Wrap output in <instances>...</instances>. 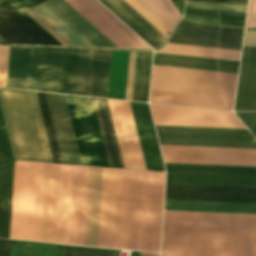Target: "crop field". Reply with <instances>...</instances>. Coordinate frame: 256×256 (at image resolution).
<instances>
[{
    "mask_svg": "<svg viewBox=\"0 0 256 256\" xmlns=\"http://www.w3.org/2000/svg\"><path fill=\"white\" fill-rule=\"evenodd\" d=\"M94 47L117 48L64 0L45 2Z\"/></svg>",
    "mask_w": 256,
    "mask_h": 256,
    "instance_id": "obj_26",
    "label": "crop field"
},
{
    "mask_svg": "<svg viewBox=\"0 0 256 256\" xmlns=\"http://www.w3.org/2000/svg\"><path fill=\"white\" fill-rule=\"evenodd\" d=\"M135 52H130L126 100H131Z\"/></svg>",
    "mask_w": 256,
    "mask_h": 256,
    "instance_id": "obj_42",
    "label": "crop field"
},
{
    "mask_svg": "<svg viewBox=\"0 0 256 256\" xmlns=\"http://www.w3.org/2000/svg\"><path fill=\"white\" fill-rule=\"evenodd\" d=\"M243 45L256 46V32L245 31ZM256 110V48L243 47L234 111Z\"/></svg>",
    "mask_w": 256,
    "mask_h": 256,
    "instance_id": "obj_19",
    "label": "crop field"
},
{
    "mask_svg": "<svg viewBox=\"0 0 256 256\" xmlns=\"http://www.w3.org/2000/svg\"><path fill=\"white\" fill-rule=\"evenodd\" d=\"M242 33L243 30L206 27L181 19L169 43L240 50Z\"/></svg>",
    "mask_w": 256,
    "mask_h": 256,
    "instance_id": "obj_15",
    "label": "crop field"
},
{
    "mask_svg": "<svg viewBox=\"0 0 256 256\" xmlns=\"http://www.w3.org/2000/svg\"><path fill=\"white\" fill-rule=\"evenodd\" d=\"M14 162L0 168V238H8Z\"/></svg>",
    "mask_w": 256,
    "mask_h": 256,
    "instance_id": "obj_32",
    "label": "crop field"
},
{
    "mask_svg": "<svg viewBox=\"0 0 256 256\" xmlns=\"http://www.w3.org/2000/svg\"><path fill=\"white\" fill-rule=\"evenodd\" d=\"M165 199L256 203V189L166 185Z\"/></svg>",
    "mask_w": 256,
    "mask_h": 256,
    "instance_id": "obj_17",
    "label": "crop field"
},
{
    "mask_svg": "<svg viewBox=\"0 0 256 256\" xmlns=\"http://www.w3.org/2000/svg\"><path fill=\"white\" fill-rule=\"evenodd\" d=\"M234 96L151 88L150 102L232 111Z\"/></svg>",
    "mask_w": 256,
    "mask_h": 256,
    "instance_id": "obj_22",
    "label": "crop field"
},
{
    "mask_svg": "<svg viewBox=\"0 0 256 256\" xmlns=\"http://www.w3.org/2000/svg\"><path fill=\"white\" fill-rule=\"evenodd\" d=\"M183 2L184 0H178V12L180 15L182 14Z\"/></svg>",
    "mask_w": 256,
    "mask_h": 256,
    "instance_id": "obj_49",
    "label": "crop field"
},
{
    "mask_svg": "<svg viewBox=\"0 0 256 256\" xmlns=\"http://www.w3.org/2000/svg\"><path fill=\"white\" fill-rule=\"evenodd\" d=\"M36 94H37V98H38V102H39V106L42 114V119H43L45 131L47 135V140H48L52 160L53 162L62 163L56 138H55V134H54V130H53V126H52V122H51V118H50V114H49V110H48V106H47V102H46V98H45V94L40 92H36Z\"/></svg>",
    "mask_w": 256,
    "mask_h": 256,
    "instance_id": "obj_36",
    "label": "crop field"
},
{
    "mask_svg": "<svg viewBox=\"0 0 256 256\" xmlns=\"http://www.w3.org/2000/svg\"><path fill=\"white\" fill-rule=\"evenodd\" d=\"M252 215L194 213L191 256H249Z\"/></svg>",
    "mask_w": 256,
    "mask_h": 256,
    "instance_id": "obj_4",
    "label": "crop field"
},
{
    "mask_svg": "<svg viewBox=\"0 0 256 256\" xmlns=\"http://www.w3.org/2000/svg\"><path fill=\"white\" fill-rule=\"evenodd\" d=\"M193 213L165 212L162 256H190Z\"/></svg>",
    "mask_w": 256,
    "mask_h": 256,
    "instance_id": "obj_21",
    "label": "crop field"
},
{
    "mask_svg": "<svg viewBox=\"0 0 256 256\" xmlns=\"http://www.w3.org/2000/svg\"><path fill=\"white\" fill-rule=\"evenodd\" d=\"M165 163L256 166V150L163 146Z\"/></svg>",
    "mask_w": 256,
    "mask_h": 256,
    "instance_id": "obj_13",
    "label": "crop field"
},
{
    "mask_svg": "<svg viewBox=\"0 0 256 256\" xmlns=\"http://www.w3.org/2000/svg\"><path fill=\"white\" fill-rule=\"evenodd\" d=\"M256 138V113H235Z\"/></svg>",
    "mask_w": 256,
    "mask_h": 256,
    "instance_id": "obj_41",
    "label": "crop field"
},
{
    "mask_svg": "<svg viewBox=\"0 0 256 256\" xmlns=\"http://www.w3.org/2000/svg\"><path fill=\"white\" fill-rule=\"evenodd\" d=\"M129 103L146 169L164 171L147 104Z\"/></svg>",
    "mask_w": 256,
    "mask_h": 256,
    "instance_id": "obj_23",
    "label": "crop field"
},
{
    "mask_svg": "<svg viewBox=\"0 0 256 256\" xmlns=\"http://www.w3.org/2000/svg\"><path fill=\"white\" fill-rule=\"evenodd\" d=\"M239 62L154 53L153 65L237 73Z\"/></svg>",
    "mask_w": 256,
    "mask_h": 256,
    "instance_id": "obj_27",
    "label": "crop field"
},
{
    "mask_svg": "<svg viewBox=\"0 0 256 256\" xmlns=\"http://www.w3.org/2000/svg\"><path fill=\"white\" fill-rule=\"evenodd\" d=\"M42 5L45 8H47L55 17H57L64 25H66L74 34H76L84 43H86L89 47H93L81 35H79L71 26H69L61 17H59L51 8H49L45 3Z\"/></svg>",
    "mask_w": 256,
    "mask_h": 256,
    "instance_id": "obj_46",
    "label": "crop field"
},
{
    "mask_svg": "<svg viewBox=\"0 0 256 256\" xmlns=\"http://www.w3.org/2000/svg\"><path fill=\"white\" fill-rule=\"evenodd\" d=\"M164 173L119 170L113 248L159 252Z\"/></svg>",
    "mask_w": 256,
    "mask_h": 256,
    "instance_id": "obj_1",
    "label": "crop field"
},
{
    "mask_svg": "<svg viewBox=\"0 0 256 256\" xmlns=\"http://www.w3.org/2000/svg\"><path fill=\"white\" fill-rule=\"evenodd\" d=\"M43 163L15 161L9 238L38 241Z\"/></svg>",
    "mask_w": 256,
    "mask_h": 256,
    "instance_id": "obj_6",
    "label": "crop field"
},
{
    "mask_svg": "<svg viewBox=\"0 0 256 256\" xmlns=\"http://www.w3.org/2000/svg\"><path fill=\"white\" fill-rule=\"evenodd\" d=\"M72 172L44 163L39 241L67 244Z\"/></svg>",
    "mask_w": 256,
    "mask_h": 256,
    "instance_id": "obj_5",
    "label": "crop field"
},
{
    "mask_svg": "<svg viewBox=\"0 0 256 256\" xmlns=\"http://www.w3.org/2000/svg\"><path fill=\"white\" fill-rule=\"evenodd\" d=\"M192 1L216 2V3H228V4H240V5H247L248 3V0H192Z\"/></svg>",
    "mask_w": 256,
    "mask_h": 256,
    "instance_id": "obj_47",
    "label": "crop field"
},
{
    "mask_svg": "<svg viewBox=\"0 0 256 256\" xmlns=\"http://www.w3.org/2000/svg\"><path fill=\"white\" fill-rule=\"evenodd\" d=\"M103 168L89 167L83 245L97 247Z\"/></svg>",
    "mask_w": 256,
    "mask_h": 256,
    "instance_id": "obj_24",
    "label": "crop field"
},
{
    "mask_svg": "<svg viewBox=\"0 0 256 256\" xmlns=\"http://www.w3.org/2000/svg\"><path fill=\"white\" fill-rule=\"evenodd\" d=\"M62 162L81 164L66 100L64 95L45 93Z\"/></svg>",
    "mask_w": 256,
    "mask_h": 256,
    "instance_id": "obj_18",
    "label": "crop field"
},
{
    "mask_svg": "<svg viewBox=\"0 0 256 256\" xmlns=\"http://www.w3.org/2000/svg\"><path fill=\"white\" fill-rule=\"evenodd\" d=\"M256 17V0H250L246 27H254Z\"/></svg>",
    "mask_w": 256,
    "mask_h": 256,
    "instance_id": "obj_44",
    "label": "crop field"
},
{
    "mask_svg": "<svg viewBox=\"0 0 256 256\" xmlns=\"http://www.w3.org/2000/svg\"><path fill=\"white\" fill-rule=\"evenodd\" d=\"M250 256H256V215H253Z\"/></svg>",
    "mask_w": 256,
    "mask_h": 256,
    "instance_id": "obj_45",
    "label": "crop field"
},
{
    "mask_svg": "<svg viewBox=\"0 0 256 256\" xmlns=\"http://www.w3.org/2000/svg\"><path fill=\"white\" fill-rule=\"evenodd\" d=\"M237 74L153 66L151 86L234 95Z\"/></svg>",
    "mask_w": 256,
    "mask_h": 256,
    "instance_id": "obj_11",
    "label": "crop field"
},
{
    "mask_svg": "<svg viewBox=\"0 0 256 256\" xmlns=\"http://www.w3.org/2000/svg\"><path fill=\"white\" fill-rule=\"evenodd\" d=\"M166 184L256 188V167L165 164Z\"/></svg>",
    "mask_w": 256,
    "mask_h": 256,
    "instance_id": "obj_8",
    "label": "crop field"
},
{
    "mask_svg": "<svg viewBox=\"0 0 256 256\" xmlns=\"http://www.w3.org/2000/svg\"><path fill=\"white\" fill-rule=\"evenodd\" d=\"M0 37L8 43L61 45L25 13L0 2Z\"/></svg>",
    "mask_w": 256,
    "mask_h": 256,
    "instance_id": "obj_16",
    "label": "crop field"
},
{
    "mask_svg": "<svg viewBox=\"0 0 256 256\" xmlns=\"http://www.w3.org/2000/svg\"><path fill=\"white\" fill-rule=\"evenodd\" d=\"M0 42H4V41L0 39ZM4 43H5V42H4Z\"/></svg>",
    "mask_w": 256,
    "mask_h": 256,
    "instance_id": "obj_53",
    "label": "crop field"
},
{
    "mask_svg": "<svg viewBox=\"0 0 256 256\" xmlns=\"http://www.w3.org/2000/svg\"><path fill=\"white\" fill-rule=\"evenodd\" d=\"M88 167L74 166L69 243L82 245Z\"/></svg>",
    "mask_w": 256,
    "mask_h": 256,
    "instance_id": "obj_25",
    "label": "crop field"
},
{
    "mask_svg": "<svg viewBox=\"0 0 256 256\" xmlns=\"http://www.w3.org/2000/svg\"><path fill=\"white\" fill-rule=\"evenodd\" d=\"M82 164L109 167L91 98L65 95Z\"/></svg>",
    "mask_w": 256,
    "mask_h": 256,
    "instance_id": "obj_9",
    "label": "crop field"
},
{
    "mask_svg": "<svg viewBox=\"0 0 256 256\" xmlns=\"http://www.w3.org/2000/svg\"><path fill=\"white\" fill-rule=\"evenodd\" d=\"M10 240L0 239V256H9Z\"/></svg>",
    "mask_w": 256,
    "mask_h": 256,
    "instance_id": "obj_48",
    "label": "crop field"
},
{
    "mask_svg": "<svg viewBox=\"0 0 256 256\" xmlns=\"http://www.w3.org/2000/svg\"><path fill=\"white\" fill-rule=\"evenodd\" d=\"M153 49L159 48L179 16L168 0H99Z\"/></svg>",
    "mask_w": 256,
    "mask_h": 256,
    "instance_id": "obj_7",
    "label": "crop field"
},
{
    "mask_svg": "<svg viewBox=\"0 0 256 256\" xmlns=\"http://www.w3.org/2000/svg\"><path fill=\"white\" fill-rule=\"evenodd\" d=\"M16 159L52 162L35 92L0 88Z\"/></svg>",
    "mask_w": 256,
    "mask_h": 256,
    "instance_id": "obj_3",
    "label": "crop field"
},
{
    "mask_svg": "<svg viewBox=\"0 0 256 256\" xmlns=\"http://www.w3.org/2000/svg\"><path fill=\"white\" fill-rule=\"evenodd\" d=\"M3 125H4V122H3V118L0 110V126H3Z\"/></svg>",
    "mask_w": 256,
    "mask_h": 256,
    "instance_id": "obj_52",
    "label": "crop field"
},
{
    "mask_svg": "<svg viewBox=\"0 0 256 256\" xmlns=\"http://www.w3.org/2000/svg\"><path fill=\"white\" fill-rule=\"evenodd\" d=\"M255 27H256V24H255Z\"/></svg>",
    "mask_w": 256,
    "mask_h": 256,
    "instance_id": "obj_54",
    "label": "crop field"
},
{
    "mask_svg": "<svg viewBox=\"0 0 256 256\" xmlns=\"http://www.w3.org/2000/svg\"><path fill=\"white\" fill-rule=\"evenodd\" d=\"M152 53L136 52L132 100L147 102Z\"/></svg>",
    "mask_w": 256,
    "mask_h": 256,
    "instance_id": "obj_33",
    "label": "crop field"
},
{
    "mask_svg": "<svg viewBox=\"0 0 256 256\" xmlns=\"http://www.w3.org/2000/svg\"><path fill=\"white\" fill-rule=\"evenodd\" d=\"M93 99L100 131L102 134L108 162L110 167L124 168L119 147L117 144L113 124L111 121L107 101L103 99Z\"/></svg>",
    "mask_w": 256,
    "mask_h": 256,
    "instance_id": "obj_28",
    "label": "crop field"
},
{
    "mask_svg": "<svg viewBox=\"0 0 256 256\" xmlns=\"http://www.w3.org/2000/svg\"><path fill=\"white\" fill-rule=\"evenodd\" d=\"M160 53L239 61L240 51L167 44Z\"/></svg>",
    "mask_w": 256,
    "mask_h": 256,
    "instance_id": "obj_34",
    "label": "crop field"
},
{
    "mask_svg": "<svg viewBox=\"0 0 256 256\" xmlns=\"http://www.w3.org/2000/svg\"><path fill=\"white\" fill-rule=\"evenodd\" d=\"M45 19H47L54 27H56L63 35H65L76 46L88 47L76 35H74L67 27H65L57 18H55L47 9L42 5L34 8Z\"/></svg>",
    "mask_w": 256,
    "mask_h": 256,
    "instance_id": "obj_38",
    "label": "crop field"
},
{
    "mask_svg": "<svg viewBox=\"0 0 256 256\" xmlns=\"http://www.w3.org/2000/svg\"><path fill=\"white\" fill-rule=\"evenodd\" d=\"M111 51L93 50L89 96L106 98Z\"/></svg>",
    "mask_w": 256,
    "mask_h": 256,
    "instance_id": "obj_30",
    "label": "crop field"
},
{
    "mask_svg": "<svg viewBox=\"0 0 256 256\" xmlns=\"http://www.w3.org/2000/svg\"><path fill=\"white\" fill-rule=\"evenodd\" d=\"M33 20H35L40 26H42L47 32L51 35L57 33L61 38H63L70 46H75L71 43L65 36H63L56 28H54L47 20H45L39 13H37L34 9L26 12ZM54 35L60 42L63 44H67L64 40H62L58 35ZM55 38V39H56ZM61 43V44H62ZM62 44V45H63ZM67 45V46H69Z\"/></svg>",
    "mask_w": 256,
    "mask_h": 256,
    "instance_id": "obj_39",
    "label": "crop field"
},
{
    "mask_svg": "<svg viewBox=\"0 0 256 256\" xmlns=\"http://www.w3.org/2000/svg\"><path fill=\"white\" fill-rule=\"evenodd\" d=\"M117 46L149 47L96 0H66ZM133 48V47H118ZM151 49V48H134Z\"/></svg>",
    "mask_w": 256,
    "mask_h": 256,
    "instance_id": "obj_14",
    "label": "crop field"
},
{
    "mask_svg": "<svg viewBox=\"0 0 256 256\" xmlns=\"http://www.w3.org/2000/svg\"><path fill=\"white\" fill-rule=\"evenodd\" d=\"M247 7L186 1L184 18L202 24L244 27Z\"/></svg>",
    "mask_w": 256,
    "mask_h": 256,
    "instance_id": "obj_20",
    "label": "crop field"
},
{
    "mask_svg": "<svg viewBox=\"0 0 256 256\" xmlns=\"http://www.w3.org/2000/svg\"><path fill=\"white\" fill-rule=\"evenodd\" d=\"M62 245L11 240L10 256H61Z\"/></svg>",
    "mask_w": 256,
    "mask_h": 256,
    "instance_id": "obj_35",
    "label": "crop field"
},
{
    "mask_svg": "<svg viewBox=\"0 0 256 256\" xmlns=\"http://www.w3.org/2000/svg\"><path fill=\"white\" fill-rule=\"evenodd\" d=\"M155 125L245 129L232 113L150 104Z\"/></svg>",
    "mask_w": 256,
    "mask_h": 256,
    "instance_id": "obj_12",
    "label": "crop field"
},
{
    "mask_svg": "<svg viewBox=\"0 0 256 256\" xmlns=\"http://www.w3.org/2000/svg\"><path fill=\"white\" fill-rule=\"evenodd\" d=\"M160 145L256 149L247 130L155 126Z\"/></svg>",
    "mask_w": 256,
    "mask_h": 256,
    "instance_id": "obj_10",
    "label": "crop field"
},
{
    "mask_svg": "<svg viewBox=\"0 0 256 256\" xmlns=\"http://www.w3.org/2000/svg\"><path fill=\"white\" fill-rule=\"evenodd\" d=\"M11 7H13L17 12L22 13L33 6L26 0H4Z\"/></svg>",
    "mask_w": 256,
    "mask_h": 256,
    "instance_id": "obj_43",
    "label": "crop field"
},
{
    "mask_svg": "<svg viewBox=\"0 0 256 256\" xmlns=\"http://www.w3.org/2000/svg\"><path fill=\"white\" fill-rule=\"evenodd\" d=\"M92 50L31 48L27 89L88 96Z\"/></svg>",
    "mask_w": 256,
    "mask_h": 256,
    "instance_id": "obj_2",
    "label": "crop field"
},
{
    "mask_svg": "<svg viewBox=\"0 0 256 256\" xmlns=\"http://www.w3.org/2000/svg\"><path fill=\"white\" fill-rule=\"evenodd\" d=\"M30 48L10 47L6 87L26 89Z\"/></svg>",
    "mask_w": 256,
    "mask_h": 256,
    "instance_id": "obj_31",
    "label": "crop field"
},
{
    "mask_svg": "<svg viewBox=\"0 0 256 256\" xmlns=\"http://www.w3.org/2000/svg\"><path fill=\"white\" fill-rule=\"evenodd\" d=\"M141 256H159L158 254L141 253Z\"/></svg>",
    "mask_w": 256,
    "mask_h": 256,
    "instance_id": "obj_51",
    "label": "crop field"
},
{
    "mask_svg": "<svg viewBox=\"0 0 256 256\" xmlns=\"http://www.w3.org/2000/svg\"><path fill=\"white\" fill-rule=\"evenodd\" d=\"M13 160L6 129L0 127V166Z\"/></svg>",
    "mask_w": 256,
    "mask_h": 256,
    "instance_id": "obj_40",
    "label": "crop field"
},
{
    "mask_svg": "<svg viewBox=\"0 0 256 256\" xmlns=\"http://www.w3.org/2000/svg\"><path fill=\"white\" fill-rule=\"evenodd\" d=\"M31 3H33L34 5H38L46 0H29Z\"/></svg>",
    "mask_w": 256,
    "mask_h": 256,
    "instance_id": "obj_50",
    "label": "crop field"
},
{
    "mask_svg": "<svg viewBox=\"0 0 256 256\" xmlns=\"http://www.w3.org/2000/svg\"><path fill=\"white\" fill-rule=\"evenodd\" d=\"M62 256H116V250L63 245Z\"/></svg>",
    "mask_w": 256,
    "mask_h": 256,
    "instance_id": "obj_37",
    "label": "crop field"
},
{
    "mask_svg": "<svg viewBox=\"0 0 256 256\" xmlns=\"http://www.w3.org/2000/svg\"><path fill=\"white\" fill-rule=\"evenodd\" d=\"M165 210L256 213V204L165 200Z\"/></svg>",
    "mask_w": 256,
    "mask_h": 256,
    "instance_id": "obj_29",
    "label": "crop field"
}]
</instances>
